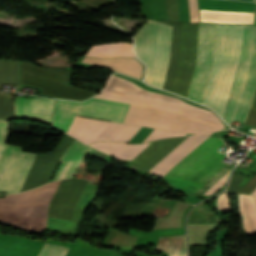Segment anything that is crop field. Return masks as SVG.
Segmentation results:
<instances>
[{
	"mask_svg": "<svg viewBox=\"0 0 256 256\" xmlns=\"http://www.w3.org/2000/svg\"><path fill=\"white\" fill-rule=\"evenodd\" d=\"M94 97L132 104L127 124L196 134L224 128L223 122L210 111L146 91L114 74L105 89Z\"/></svg>",
	"mask_w": 256,
	"mask_h": 256,
	"instance_id": "1",
	"label": "crop field"
},
{
	"mask_svg": "<svg viewBox=\"0 0 256 256\" xmlns=\"http://www.w3.org/2000/svg\"><path fill=\"white\" fill-rule=\"evenodd\" d=\"M222 143L219 138L209 137L162 179L192 195L214 192L226 183L231 169L220 161L225 156L213 153Z\"/></svg>",
	"mask_w": 256,
	"mask_h": 256,
	"instance_id": "2",
	"label": "crop field"
},
{
	"mask_svg": "<svg viewBox=\"0 0 256 256\" xmlns=\"http://www.w3.org/2000/svg\"><path fill=\"white\" fill-rule=\"evenodd\" d=\"M243 33L244 25L217 26L214 65L203 103L222 117L239 63Z\"/></svg>",
	"mask_w": 256,
	"mask_h": 256,
	"instance_id": "3",
	"label": "crop field"
},
{
	"mask_svg": "<svg viewBox=\"0 0 256 256\" xmlns=\"http://www.w3.org/2000/svg\"><path fill=\"white\" fill-rule=\"evenodd\" d=\"M58 183H47L31 191L0 198V220L21 229L38 233L44 231L48 203Z\"/></svg>",
	"mask_w": 256,
	"mask_h": 256,
	"instance_id": "4",
	"label": "crop field"
},
{
	"mask_svg": "<svg viewBox=\"0 0 256 256\" xmlns=\"http://www.w3.org/2000/svg\"><path fill=\"white\" fill-rule=\"evenodd\" d=\"M172 30V26L148 20L134 35L136 55L147 66L146 83L161 89L169 63Z\"/></svg>",
	"mask_w": 256,
	"mask_h": 256,
	"instance_id": "5",
	"label": "crop field"
},
{
	"mask_svg": "<svg viewBox=\"0 0 256 256\" xmlns=\"http://www.w3.org/2000/svg\"><path fill=\"white\" fill-rule=\"evenodd\" d=\"M130 106L96 98L85 102L56 100L52 127L66 133L75 115L123 123Z\"/></svg>",
	"mask_w": 256,
	"mask_h": 256,
	"instance_id": "6",
	"label": "crop field"
},
{
	"mask_svg": "<svg viewBox=\"0 0 256 256\" xmlns=\"http://www.w3.org/2000/svg\"><path fill=\"white\" fill-rule=\"evenodd\" d=\"M70 70L65 68L39 69L21 63V84L43 88L42 93L74 100L86 99L95 92L68 85Z\"/></svg>",
	"mask_w": 256,
	"mask_h": 256,
	"instance_id": "7",
	"label": "crop field"
},
{
	"mask_svg": "<svg viewBox=\"0 0 256 256\" xmlns=\"http://www.w3.org/2000/svg\"><path fill=\"white\" fill-rule=\"evenodd\" d=\"M21 147L10 145L0 165V191L19 192L36 154L21 152Z\"/></svg>",
	"mask_w": 256,
	"mask_h": 256,
	"instance_id": "8",
	"label": "crop field"
},
{
	"mask_svg": "<svg viewBox=\"0 0 256 256\" xmlns=\"http://www.w3.org/2000/svg\"><path fill=\"white\" fill-rule=\"evenodd\" d=\"M216 24L200 23L197 65L194 71L189 98L202 102L212 64L214 29Z\"/></svg>",
	"mask_w": 256,
	"mask_h": 256,
	"instance_id": "9",
	"label": "crop field"
},
{
	"mask_svg": "<svg viewBox=\"0 0 256 256\" xmlns=\"http://www.w3.org/2000/svg\"><path fill=\"white\" fill-rule=\"evenodd\" d=\"M197 24L183 23L179 61L172 92L188 95L189 83L195 65Z\"/></svg>",
	"mask_w": 256,
	"mask_h": 256,
	"instance_id": "10",
	"label": "crop field"
},
{
	"mask_svg": "<svg viewBox=\"0 0 256 256\" xmlns=\"http://www.w3.org/2000/svg\"><path fill=\"white\" fill-rule=\"evenodd\" d=\"M75 139L68 135L48 155H36L22 191L33 189L48 182L59 159Z\"/></svg>",
	"mask_w": 256,
	"mask_h": 256,
	"instance_id": "11",
	"label": "crop field"
},
{
	"mask_svg": "<svg viewBox=\"0 0 256 256\" xmlns=\"http://www.w3.org/2000/svg\"><path fill=\"white\" fill-rule=\"evenodd\" d=\"M88 181L62 180L49 209V216L72 220L74 209Z\"/></svg>",
	"mask_w": 256,
	"mask_h": 256,
	"instance_id": "12",
	"label": "crop field"
},
{
	"mask_svg": "<svg viewBox=\"0 0 256 256\" xmlns=\"http://www.w3.org/2000/svg\"><path fill=\"white\" fill-rule=\"evenodd\" d=\"M254 27L255 26H250V25H246L245 27V34H244V39L242 43L240 63H239L236 79L231 90L229 102H228L225 117H224L226 122L230 125L232 124V119L235 113V107L239 100L245 75L250 63Z\"/></svg>",
	"mask_w": 256,
	"mask_h": 256,
	"instance_id": "13",
	"label": "crop field"
},
{
	"mask_svg": "<svg viewBox=\"0 0 256 256\" xmlns=\"http://www.w3.org/2000/svg\"><path fill=\"white\" fill-rule=\"evenodd\" d=\"M116 125L115 123L76 116L67 134L89 145L104 140Z\"/></svg>",
	"mask_w": 256,
	"mask_h": 256,
	"instance_id": "14",
	"label": "crop field"
},
{
	"mask_svg": "<svg viewBox=\"0 0 256 256\" xmlns=\"http://www.w3.org/2000/svg\"><path fill=\"white\" fill-rule=\"evenodd\" d=\"M186 137L187 136L153 141L133 162H131L132 165L130 167L149 171Z\"/></svg>",
	"mask_w": 256,
	"mask_h": 256,
	"instance_id": "15",
	"label": "crop field"
},
{
	"mask_svg": "<svg viewBox=\"0 0 256 256\" xmlns=\"http://www.w3.org/2000/svg\"><path fill=\"white\" fill-rule=\"evenodd\" d=\"M54 100L20 99L14 103L16 117L51 121Z\"/></svg>",
	"mask_w": 256,
	"mask_h": 256,
	"instance_id": "16",
	"label": "crop field"
},
{
	"mask_svg": "<svg viewBox=\"0 0 256 256\" xmlns=\"http://www.w3.org/2000/svg\"><path fill=\"white\" fill-rule=\"evenodd\" d=\"M207 138V136L201 135L188 136L150 172L156 173L161 176L165 175L180 160H182L186 155H188L193 149H195Z\"/></svg>",
	"mask_w": 256,
	"mask_h": 256,
	"instance_id": "17",
	"label": "crop field"
},
{
	"mask_svg": "<svg viewBox=\"0 0 256 256\" xmlns=\"http://www.w3.org/2000/svg\"><path fill=\"white\" fill-rule=\"evenodd\" d=\"M250 64L256 65V28H255ZM253 65L249 66V70L243 86L241 97H240L238 107L234 116V120H237V121L245 122V118H246V115H247V112L256 88V66H253Z\"/></svg>",
	"mask_w": 256,
	"mask_h": 256,
	"instance_id": "18",
	"label": "crop field"
},
{
	"mask_svg": "<svg viewBox=\"0 0 256 256\" xmlns=\"http://www.w3.org/2000/svg\"><path fill=\"white\" fill-rule=\"evenodd\" d=\"M91 149L92 148L75 140L73 144L67 149L64 156L61 158L60 162H62V164L53 181L71 178L77 166L90 152Z\"/></svg>",
	"mask_w": 256,
	"mask_h": 256,
	"instance_id": "19",
	"label": "crop field"
},
{
	"mask_svg": "<svg viewBox=\"0 0 256 256\" xmlns=\"http://www.w3.org/2000/svg\"><path fill=\"white\" fill-rule=\"evenodd\" d=\"M148 145V143L131 145L119 142H96L90 147L103 151L117 159L132 160Z\"/></svg>",
	"mask_w": 256,
	"mask_h": 256,
	"instance_id": "20",
	"label": "crop field"
},
{
	"mask_svg": "<svg viewBox=\"0 0 256 256\" xmlns=\"http://www.w3.org/2000/svg\"><path fill=\"white\" fill-rule=\"evenodd\" d=\"M83 62L107 67L140 79L142 65L136 59L111 58L95 59L84 57Z\"/></svg>",
	"mask_w": 256,
	"mask_h": 256,
	"instance_id": "21",
	"label": "crop field"
},
{
	"mask_svg": "<svg viewBox=\"0 0 256 256\" xmlns=\"http://www.w3.org/2000/svg\"><path fill=\"white\" fill-rule=\"evenodd\" d=\"M158 21L174 26L170 64L167 68L164 87H163V89L170 91L172 88V84H173V80H174V76H175V69H176V65H177L182 23L171 22L168 20H158Z\"/></svg>",
	"mask_w": 256,
	"mask_h": 256,
	"instance_id": "22",
	"label": "crop field"
},
{
	"mask_svg": "<svg viewBox=\"0 0 256 256\" xmlns=\"http://www.w3.org/2000/svg\"><path fill=\"white\" fill-rule=\"evenodd\" d=\"M95 57H112V56H134L132 45L127 43H115L93 46L87 54Z\"/></svg>",
	"mask_w": 256,
	"mask_h": 256,
	"instance_id": "23",
	"label": "crop field"
},
{
	"mask_svg": "<svg viewBox=\"0 0 256 256\" xmlns=\"http://www.w3.org/2000/svg\"><path fill=\"white\" fill-rule=\"evenodd\" d=\"M157 248L169 252V256H186L185 235L160 237Z\"/></svg>",
	"mask_w": 256,
	"mask_h": 256,
	"instance_id": "24",
	"label": "crop field"
},
{
	"mask_svg": "<svg viewBox=\"0 0 256 256\" xmlns=\"http://www.w3.org/2000/svg\"><path fill=\"white\" fill-rule=\"evenodd\" d=\"M0 84L19 86V61L0 60Z\"/></svg>",
	"mask_w": 256,
	"mask_h": 256,
	"instance_id": "25",
	"label": "crop field"
},
{
	"mask_svg": "<svg viewBox=\"0 0 256 256\" xmlns=\"http://www.w3.org/2000/svg\"><path fill=\"white\" fill-rule=\"evenodd\" d=\"M216 218L205 206V203L197 205L188 218V224H213L219 223Z\"/></svg>",
	"mask_w": 256,
	"mask_h": 256,
	"instance_id": "26",
	"label": "crop field"
},
{
	"mask_svg": "<svg viewBox=\"0 0 256 256\" xmlns=\"http://www.w3.org/2000/svg\"><path fill=\"white\" fill-rule=\"evenodd\" d=\"M140 127L119 124L105 140L128 142Z\"/></svg>",
	"mask_w": 256,
	"mask_h": 256,
	"instance_id": "27",
	"label": "crop field"
},
{
	"mask_svg": "<svg viewBox=\"0 0 256 256\" xmlns=\"http://www.w3.org/2000/svg\"><path fill=\"white\" fill-rule=\"evenodd\" d=\"M135 238H136L135 236L116 230L114 236L110 241V244L127 247V248H133Z\"/></svg>",
	"mask_w": 256,
	"mask_h": 256,
	"instance_id": "28",
	"label": "crop field"
},
{
	"mask_svg": "<svg viewBox=\"0 0 256 256\" xmlns=\"http://www.w3.org/2000/svg\"><path fill=\"white\" fill-rule=\"evenodd\" d=\"M15 118L12 99L0 95V119Z\"/></svg>",
	"mask_w": 256,
	"mask_h": 256,
	"instance_id": "29",
	"label": "crop field"
},
{
	"mask_svg": "<svg viewBox=\"0 0 256 256\" xmlns=\"http://www.w3.org/2000/svg\"><path fill=\"white\" fill-rule=\"evenodd\" d=\"M68 248L44 244L38 256H65Z\"/></svg>",
	"mask_w": 256,
	"mask_h": 256,
	"instance_id": "30",
	"label": "crop field"
},
{
	"mask_svg": "<svg viewBox=\"0 0 256 256\" xmlns=\"http://www.w3.org/2000/svg\"><path fill=\"white\" fill-rule=\"evenodd\" d=\"M183 135H185V133H174V132H167L163 130L154 129L152 133L145 139L144 142L166 138V137L183 136Z\"/></svg>",
	"mask_w": 256,
	"mask_h": 256,
	"instance_id": "31",
	"label": "crop field"
},
{
	"mask_svg": "<svg viewBox=\"0 0 256 256\" xmlns=\"http://www.w3.org/2000/svg\"><path fill=\"white\" fill-rule=\"evenodd\" d=\"M7 138H8L7 122L0 120V161L7 147V145H5Z\"/></svg>",
	"mask_w": 256,
	"mask_h": 256,
	"instance_id": "32",
	"label": "crop field"
},
{
	"mask_svg": "<svg viewBox=\"0 0 256 256\" xmlns=\"http://www.w3.org/2000/svg\"><path fill=\"white\" fill-rule=\"evenodd\" d=\"M166 5L168 19L179 22L177 0H166Z\"/></svg>",
	"mask_w": 256,
	"mask_h": 256,
	"instance_id": "33",
	"label": "crop field"
},
{
	"mask_svg": "<svg viewBox=\"0 0 256 256\" xmlns=\"http://www.w3.org/2000/svg\"><path fill=\"white\" fill-rule=\"evenodd\" d=\"M255 188H256V174L245 186H240L239 188H237L235 193L250 194Z\"/></svg>",
	"mask_w": 256,
	"mask_h": 256,
	"instance_id": "34",
	"label": "crop field"
},
{
	"mask_svg": "<svg viewBox=\"0 0 256 256\" xmlns=\"http://www.w3.org/2000/svg\"><path fill=\"white\" fill-rule=\"evenodd\" d=\"M191 22H199L197 0H189Z\"/></svg>",
	"mask_w": 256,
	"mask_h": 256,
	"instance_id": "35",
	"label": "crop field"
},
{
	"mask_svg": "<svg viewBox=\"0 0 256 256\" xmlns=\"http://www.w3.org/2000/svg\"><path fill=\"white\" fill-rule=\"evenodd\" d=\"M242 179H243V176L239 174L234 175L232 182L228 188V191H231L234 193V191L236 190V188L238 187Z\"/></svg>",
	"mask_w": 256,
	"mask_h": 256,
	"instance_id": "36",
	"label": "crop field"
},
{
	"mask_svg": "<svg viewBox=\"0 0 256 256\" xmlns=\"http://www.w3.org/2000/svg\"><path fill=\"white\" fill-rule=\"evenodd\" d=\"M251 194L256 195V189Z\"/></svg>",
	"mask_w": 256,
	"mask_h": 256,
	"instance_id": "37",
	"label": "crop field"
},
{
	"mask_svg": "<svg viewBox=\"0 0 256 256\" xmlns=\"http://www.w3.org/2000/svg\"><path fill=\"white\" fill-rule=\"evenodd\" d=\"M254 197V200H255V204H256V196H253Z\"/></svg>",
	"mask_w": 256,
	"mask_h": 256,
	"instance_id": "38",
	"label": "crop field"
}]
</instances>
